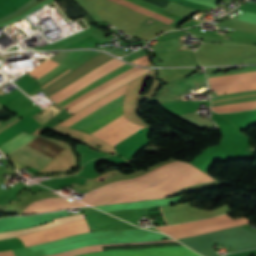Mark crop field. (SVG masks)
Wrapping results in <instances>:
<instances>
[{"label":"crop field","instance_id":"8a807250","mask_svg":"<svg viewBox=\"0 0 256 256\" xmlns=\"http://www.w3.org/2000/svg\"><path fill=\"white\" fill-rule=\"evenodd\" d=\"M210 181L214 180L194 166L174 161L140 177L118 181L90 191L82 201L98 205L163 198L178 190Z\"/></svg>","mask_w":256,"mask_h":256},{"label":"crop field","instance_id":"ac0d7876","mask_svg":"<svg viewBox=\"0 0 256 256\" xmlns=\"http://www.w3.org/2000/svg\"><path fill=\"white\" fill-rule=\"evenodd\" d=\"M123 96L118 97L117 99L109 102L108 104L96 109L95 111L88 114L86 117L82 118L78 122L70 125L69 127H73L75 129L81 130L85 128L86 126L90 125L91 123L99 120L109 112L113 111L120 105H122L123 102ZM127 119L124 117L122 113V106L111 112L110 114L106 115L99 121L91 124L90 126L86 127L82 131L87 132L93 136H100L111 129H113L118 124L126 121ZM142 127L135 125L131 122H124L117 127H115L110 132L104 134L103 136L99 137L106 142H108L110 145H114L125 138L129 137L130 135L134 134L136 131L140 130Z\"/></svg>","mask_w":256,"mask_h":256},{"label":"crop field","instance_id":"34b2d1b8","mask_svg":"<svg viewBox=\"0 0 256 256\" xmlns=\"http://www.w3.org/2000/svg\"><path fill=\"white\" fill-rule=\"evenodd\" d=\"M211 90L228 94L256 90V71L208 78Z\"/></svg>","mask_w":256,"mask_h":256},{"label":"crop field","instance_id":"412701ff","mask_svg":"<svg viewBox=\"0 0 256 256\" xmlns=\"http://www.w3.org/2000/svg\"><path fill=\"white\" fill-rule=\"evenodd\" d=\"M80 256H199L184 246L132 249V250H113L97 253L84 254Z\"/></svg>","mask_w":256,"mask_h":256},{"label":"crop field","instance_id":"f4fd0767","mask_svg":"<svg viewBox=\"0 0 256 256\" xmlns=\"http://www.w3.org/2000/svg\"><path fill=\"white\" fill-rule=\"evenodd\" d=\"M11 157L21 161L22 163L31 166L37 170L44 167L52 158L26 146L21 150L10 155Z\"/></svg>","mask_w":256,"mask_h":256},{"label":"crop field","instance_id":"dd49c442","mask_svg":"<svg viewBox=\"0 0 256 256\" xmlns=\"http://www.w3.org/2000/svg\"><path fill=\"white\" fill-rule=\"evenodd\" d=\"M84 206L79 202L73 200L72 202L64 199V198H49L39 200L33 204L23 213V214H32L36 212L60 209V208H70V207H78Z\"/></svg>","mask_w":256,"mask_h":256},{"label":"crop field","instance_id":"e52e79f7","mask_svg":"<svg viewBox=\"0 0 256 256\" xmlns=\"http://www.w3.org/2000/svg\"><path fill=\"white\" fill-rule=\"evenodd\" d=\"M149 71H151V70L141 69V70H139V71H137V72L127 76L126 78H124V79L114 83L113 85L103 89L102 91L92 95L91 97L83 100L82 102L78 103L77 105L73 106L72 108H70L67 111H69L70 113L73 114V113L77 112L78 110H80L81 108H83L86 105H88L89 103L97 100L98 98L106 95L107 93H109V92H111V91H113V90H115L117 88H120V87L128 84L129 82L133 81L134 79L140 77L141 75H143V74H145V73H147Z\"/></svg>","mask_w":256,"mask_h":256},{"label":"crop field","instance_id":"d8731c3e","mask_svg":"<svg viewBox=\"0 0 256 256\" xmlns=\"http://www.w3.org/2000/svg\"><path fill=\"white\" fill-rule=\"evenodd\" d=\"M84 219L83 214L80 215H72V216H66L58 219H54V222L46 223L44 225L36 226L33 228L21 230V231H14V232H5V233H0V238H6V237H13V236H18V235H23V234H29L57 226L64 225L68 222L75 221V220H81Z\"/></svg>","mask_w":256,"mask_h":256},{"label":"crop field","instance_id":"5a996713","mask_svg":"<svg viewBox=\"0 0 256 256\" xmlns=\"http://www.w3.org/2000/svg\"><path fill=\"white\" fill-rule=\"evenodd\" d=\"M34 136L20 133L17 137L10 140L9 142L0 146V150L5 153L7 156L17 150L18 148L22 147L23 145L29 143Z\"/></svg>","mask_w":256,"mask_h":256},{"label":"crop field","instance_id":"3316defc","mask_svg":"<svg viewBox=\"0 0 256 256\" xmlns=\"http://www.w3.org/2000/svg\"><path fill=\"white\" fill-rule=\"evenodd\" d=\"M138 69H140V68H138V67H133V68L129 69L128 71H126V72L120 74L119 76H117V77L111 79L110 81L104 83L103 85H101V86H99V87H97V88H95V89H93V90H91V91L85 93V94L82 95L81 97L77 98L76 100H74V101L68 103L67 105H65V106H63V107H64L65 109H67V108L73 106L74 104L80 102L81 100H83V99H85V98L91 96L92 94H94V93H96V92L102 90L103 88H105V87L111 85L112 83H114V82L120 80L121 78H123V77H125V76H127V75H129V74H131V73H133V72H135V71H137Z\"/></svg>","mask_w":256,"mask_h":256},{"label":"crop field","instance_id":"28ad6ade","mask_svg":"<svg viewBox=\"0 0 256 256\" xmlns=\"http://www.w3.org/2000/svg\"><path fill=\"white\" fill-rule=\"evenodd\" d=\"M112 1H114L116 3H119V4L123 5V6L129 7V8H131V9L137 11V12H140V13L146 14V15H148L150 17H153L155 19H158V20H160L162 22H165V23H168V24L173 22V20H171L169 18L161 16V15H159L157 13H154V12H152L150 10H147V9L143 8V7L135 5V4L131 3V2H128V1H125V0H112Z\"/></svg>","mask_w":256,"mask_h":256},{"label":"crop field","instance_id":"d1516ede","mask_svg":"<svg viewBox=\"0 0 256 256\" xmlns=\"http://www.w3.org/2000/svg\"><path fill=\"white\" fill-rule=\"evenodd\" d=\"M254 108H256V101L215 106V107H212V110L216 112H234V111L254 109Z\"/></svg>","mask_w":256,"mask_h":256},{"label":"crop field","instance_id":"22f410ed","mask_svg":"<svg viewBox=\"0 0 256 256\" xmlns=\"http://www.w3.org/2000/svg\"><path fill=\"white\" fill-rule=\"evenodd\" d=\"M161 241H174V240H161ZM161 241H151V242H137V243H117V244H105L102 246H106V245H121V244H139V243H152V242H161ZM102 248L100 245H96V246H90V247H83V248H77L74 250H70L61 254H56V255H50V256H65V255H71V254H76V253H81V252H86V251H90V250H95V249H100ZM103 249L100 250H95V251H102ZM90 252H94V251H90ZM88 253V252H86ZM83 254V253H81ZM79 255V254H76ZM71 256H75V255H71Z\"/></svg>","mask_w":256,"mask_h":256},{"label":"crop field","instance_id":"cbeb9de0","mask_svg":"<svg viewBox=\"0 0 256 256\" xmlns=\"http://www.w3.org/2000/svg\"><path fill=\"white\" fill-rule=\"evenodd\" d=\"M52 62H53V61H51V60L49 59V60L45 61L44 63L40 64L39 66H37L36 68L32 69L31 71L27 72V73L31 75V74L35 73L36 71L42 69L43 67L47 66L48 64H50V63H52ZM56 64H58V63L54 62V63L50 64L49 66L43 68L42 70L38 71L37 73L31 75V76L35 79V78H37L38 76H40V75H42L43 73H45V72H47L48 70H50V69H51L52 67H54ZM58 65H59V64H58ZM58 65H56L55 67H57ZM55 67H54V68H55ZM54 68H52V69H54ZM52 69H51V70H52ZM51 70H50V71H51ZM48 72H49V71H48ZM48 72H47V73H48ZM45 74H46V73H45ZM45 74H43V75H45ZM43 75H42V76H43ZM42 76H40V77H42ZM40 77H39V78H40ZM39 78H37V79H39ZM37 79H36V80H37Z\"/></svg>","mask_w":256,"mask_h":256},{"label":"crop field","instance_id":"5142ce71","mask_svg":"<svg viewBox=\"0 0 256 256\" xmlns=\"http://www.w3.org/2000/svg\"><path fill=\"white\" fill-rule=\"evenodd\" d=\"M72 114H70L69 112H67L65 109L63 111H61L59 114H57L55 117H53L51 120H49L48 122H46L44 125H42L40 128H43L45 130L55 126L56 124L64 121L65 119H67L69 116H71Z\"/></svg>","mask_w":256,"mask_h":256},{"label":"crop field","instance_id":"d9b57169","mask_svg":"<svg viewBox=\"0 0 256 256\" xmlns=\"http://www.w3.org/2000/svg\"><path fill=\"white\" fill-rule=\"evenodd\" d=\"M144 54H146V51H144L143 48H142V49H140V50L130 54L128 57L127 56L123 57V59L127 60L128 62H130V61H132V60H134V59H136V58H138V57H140V56H142Z\"/></svg>","mask_w":256,"mask_h":256},{"label":"crop field","instance_id":"733c2abd","mask_svg":"<svg viewBox=\"0 0 256 256\" xmlns=\"http://www.w3.org/2000/svg\"><path fill=\"white\" fill-rule=\"evenodd\" d=\"M69 71H71V70H66L64 73H62L61 75H59L58 77H56L54 80H52L51 82H49L48 84H46L44 87H46V86H48V85H50L51 83H53L54 81H56V80H58L59 78H61L62 76H64L66 73H68ZM44 87H42V88H44Z\"/></svg>","mask_w":256,"mask_h":256},{"label":"crop field","instance_id":"4a817a6b","mask_svg":"<svg viewBox=\"0 0 256 256\" xmlns=\"http://www.w3.org/2000/svg\"><path fill=\"white\" fill-rule=\"evenodd\" d=\"M110 53L116 55V56H123L124 54L121 53L118 49L111 51Z\"/></svg>","mask_w":256,"mask_h":256},{"label":"crop field","instance_id":"bc2a9ffb","mask_svg":"<svg viewBox=\"0 0 256 256\" xmlns=\"http://www.w3.org/2000/svg\"><path fill=\"white\" fill-rule=\"evenodd\" d=\"M159 208H160V211H161V214H162L161 207H159ZM162 216H163V214H162ZM163 219H164V221L166 222V220H165L164 216H163ZM166 224H167V222H166Z\"/></svg>","mask_w":256,"mask_h":256}]
</instances>
